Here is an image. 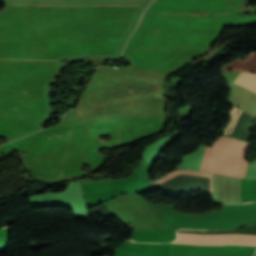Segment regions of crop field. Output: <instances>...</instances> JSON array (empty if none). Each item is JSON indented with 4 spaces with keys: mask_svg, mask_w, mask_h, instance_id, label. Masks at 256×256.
Wrapping results in <instances>:
<instances>
[{
    "mask_svg": "<svg viewBox=\"0 0 256 256\" xmlns=\"http://www.w3.org/2000/svg\"><path fill=\"white\" fill-rule=\"evenodd\" d=\"M248 144L220 137L212 147H206L200 170L244 178L247 165L245 149Z\"/></svg>",
    "mask_w": 256,
    "mask_h": 256,
    "instance_id": "obj_1",
    "label": "crop field"
},
{
    "mask_svg": "<svg viewBox=\"0 0 256 256\" xmlns=\"http://www.w3.org/2000/svg\"><path fill=\"white\" fill-rule=\"evenodd\" d=\"M247 203V202H246Z\"/></svg>",
    "mask_w": 256,
    "mask_h": 256,
    "instance_id": "obj_5",
    "label": "crop field"
},
{
    "mask_svg": "<svg viewBox=\"0 0 256 256\" xmlns=\"http://www.w3.org/2000/svg\"><path fill=\"white\" fill-rule=\"evenodd\" d=\"M178 238L172 243L196 244V245H254L256 235L228 234V235H193L177 233Z\"/></svg>",
    "mask_w": 256,
    "mask_h": 256,
    "instance_id": "obj_2",
    "label": "crop field"
},
{
    "mask_svg": "<svg viewBox=\"0 0 256 256\" xmlns=\"http://www.w3.org/2000/svg\"><path fill=\"white\" fill-rule=\"evenodd\" d=\"M222 70H239L256 73V53L251 52L250 56L245 61L237 59L227 64Z\"/></svg>",
    "mask_w": 256,
    "mask_h": 256,
    "instance_id": "obj_3",
    "label": "crop field"
},
{
    "mask_svg": "<svg viewBox=\"0 0 256 256\" xmlns=\"http://www.w3.org/2000/svg\"><path fill=\"white\" fill-rule=\"evenodd\" d=\"M232 83L256 93V75L254 74L240 72Z\"/></svg>",
    "mask_w": 256,
    "mask_h": 256,
    "instance_id": "obj_4",
    "label": "crop field"
}]
</instances>
